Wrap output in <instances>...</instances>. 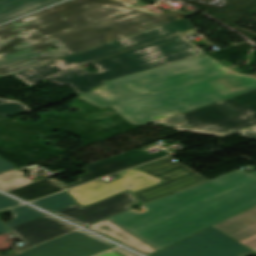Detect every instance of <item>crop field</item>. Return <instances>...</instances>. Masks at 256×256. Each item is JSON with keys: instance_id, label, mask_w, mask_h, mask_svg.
<instances>
[{"instance_id": "5", "label": "crop field", "mask_w": 256, "mask_h": 256, "mask_svg": "<svg viewBox=\"0 0 256 256\" xmlns=\"http://www.w3.org/2000/svg\"><path fill=\"white\" fill-rule=\"evenodd\" d=\"M181 123L173 129L223 136L256 124V90L218 103L183 113ZM192 126L189 127L188 125Z\"/></svg>"}, {"instance_id": "12", "label": "crop field", "mask_w": 256, "mask_h": 256, "mask_svg": "<svg viewBox=\"0 0 256 256\" xmlns=\"http://www.w3.org/2000/svg\"><path fill=\"white\" fill-rule=\"evenodd\" d=\"M169 154L165 150L155 152V153H148L141 150H131L119 155H116L112 158L90 164L87 166H83V169L85 170V175L77 176L76 178L79 180L76 183L73 184H65L63 182H59L55 180L57 183L62 185L65 188L72 187L78 184H82L100 177H103L105 175L111 174L116 171H120L135 165H139L151 160H154L156 158L162 157L164 155Z\"/></svg>"}, {"instance_id": "24", "label": "crop field", "mask_w": 256, "mask_h": 256, "mask_svg": "<svg viewBox=\"0 0 256 256\" xmlns=\"http://www.w3.org/2000/svg\"><path fill=\"white\" fill-rule=\"evenodd\" d=\"M23 175H25V174L22 171L18 170V169L0 174V183L11 180V179L21 177Z\"/></svg>"}, {"instance_id": "21", "label": "crop field", "mask_w": 256, "mask_h": 256, "mask_svg": "<svg viewBox=\"0 0 256 256\" xmlns=\"http://www.w3.org/2000/svg\"><path fill=\"white\" fill-rule=\"evenodd\" d=\"M117 1L122 2V3H125V4H127V5H130V6H132V7H135V8H137V9L142 10V11H145V12H147V13H149V14H152V15H154V16H157V17L162 18V19H164V20H167V21H169V22H172V21H175V20H179L180 18H179L178 16L183 14V12H181V11H177V12H174V13L169 14V15L160 14V13H155V12H150V11L144 10V9L139 8V7H137V6H135V5L132 4L133 2H135V1H137V0H117Z\"/></svg>"}, {"instance_id": "6", "label": "crop field", "mask_w": 256, "mask_h": 256, "mask_svg": "<svg viewBox=\"0 0 256 256\" xmlns=\"http://www.w3.org/2000/svg\"><path fill=\"white\" fill-rule=\"evenodd\" d=\"M193 25L185 18L157 28H153L120 40L91 48L28 70L13 74L30 86L47 77L69 70L84 63L112 55L162 37L191 29Z\"/></svg>"}, {"instance_id": "18", "label": "crop field", "mask_w": 256, "mask_h": 256, "mask_svg": "<svg viewBox=\"0 0 256 256\" xmlns=\"http://www.w3.org/2000/svg\"><path fill=\"white\" fill-rule=\"evenodd\" d=\"M32 204L54 212L56 210L75 204V202L69 194H67L66 192H62L34 201L32 202Z\"/></svg>"}, {"instance_id": "9", "label": "crop field", "mask_w": 256, "mask_h": 256, "mask_svg": "<svg viewBox=\"0 0 256 256\" xmlns=\"http://www.w3.org/2000/svg\"><path fill=\"white\" fill-rule=\"evenodd\" d=\"M117 174L119 178L98 184L93 181L67 190L83 207L103 200L123 191H136L160 182L159 179L144 174L136 169Z\"/></svg>"}, {"instance_id": "19", "label": "crop field", "mask_w": 256, "mask_h": 256, "mask_svg": "<svg viewBox=\"0 0 256 256\" xmlns=\"http://www.w3.org/2000/svg\"><path fill=\"white\" fill-rule=\"evenodd\" d=\"M12 211L14 212V218L11 222L6 223L8 228L45 215L27 205L15 208Z\"/></svg>"}, {"instance_id": "4", "label": "crop field", "mask_w": 256, "mask_h": 256, "mask_svg": "<svg viewBox=\"0 0 256 256\" xmlns=\"http://www.w3.org/2000/svg\"><path fill=\"white\" fill-rule=\"evenodd\" d=\"M203 54V51L185 37L177 34L93 62L98 68L97 73H89L79 67L52 77L50 80L58 85H70L80 95L91 91L95 86L104 85V81Z\"/></svg>"}, {"instance_id": "16", "label": "crop field", "mask_w": 256, "mask_h": 256, "mask_svg": "<svg viewBox=\"0 0 256 256\" xmlns=\"http://www.w3.org/2000/svg\"><path fill=\"white\" fill-rule=\"evenodd\" d=\"M61 0H0V23Z\"/></svg>"}, {"instance_id": "13", "label": "crop field", "mask_w": 256, "mask_h": 256, "mask_svg": "<svg viewBox=\"0 0 256 256\" xmlns=\"http://www.w3.org/2000/svg\"><path fill=\"white\" fill-rule=\"evenodd\" d=\"M74 229L76 228L48 215L10 228L11 232L24 242V245L17 246V250L8 256H12L34 244Z\"/></svg>"}, {"instance_id": "10", "label": "crop field", "mask_w": 256, "mask_h": 256, "mask_svg": "<svg viewBox=\"0 0 256 256\" xmlns=\"http://www.w3.org/2000/svg\"><path fill=\"white\" fill-rule=\"evenodd\" d=\"M114 245L82 230L44 242L16 256H89Z\"/></svg>"}, {"instance_id": "22", "label": "crop field", "mask_w": 256, "mask_h": 256, "mask_svg": "<svg viewBox=\"0 0 256 256\" xmlns=\"http://www.w3.org/2000/svg\"><path fill=\"white\" fill-rule=\"evenodd\" d=\"M40 180H43V179H40ZM40 180L33 181L27 177H24V178H20V179L10 181V182L4 183V184H0V188L5 191H9V190H13V189L40 181Z\"/></svg>"}, {"instance_id": "23", "label": "crop field", "mask_w": 256, "mask_h": 256, "mask_svg": "<svg viewBox=\"0 0 256 256\" xmlns=\"http://www.w3.org/2000/svg\"><path fill=\"white\" fill-rule=\"evenodd\" d=\"M92 92L98 95H101L109 100L118 98L117 96L114 95V93H112L110 90L106 88V85L93 88Z\"/></svg>"}, {"instance_id": "26", "label": "crop field", "mask_w": 256, "mask_h": 256, "mask_svg": "<svg viewBox=\"0 0 256 256\" xmlns=\"http://www.w3.org/2000/svg\"><path fill=\"white\" fill-rule=\"evenodd\" d=\"M20 202H17L15 200H12L2 194H0V210L5 209L14 205L19 204ZM20 205V204H19ZM18 206V205H17ZM15 207V206H14Z\"/></svg>"}, {"instance_id": "3", "label": "crop field", "mask_w": 256, "mask_h": 256, "mask_svg": "<svg viewBox=\"0 0 256 256\" xmlns=\"http://www.w3.org/2000/svg\"><path fill=\"white\" fill-rule=\"evenodd\" d=\"M256 204V177L237 170L108 218L161 249Z\"/></svg>"}, {"instance_id": "33", "label": "crop field", "mask_w": 256, "mask_h": 256, "mask_svg": "<svg viewBox=\"0 0 256 256\" xmlns=\"http://www.w3.org/2000/svg\"><path fill=\"white\" fill-rule=\"evenodd\" d=\"M96 256H121L120 254H118L117 252L111 250V251H107L103 254L100 255H96Z\"/></svg>"}, {"instance_id": "29", "label": "crop field", "mask_w": 256, "mask_h": 256, "mask_svg": "<svg viewBox=\"0 0 256 256\" xmlns=\"http://www.w3.org/2000/svg\"><path fill=\"white\" fill-rule=\"evenodd\" d=\"M126 85H127L130 89L135 90V91H139V92H147V91H148L147 89L142 88V87L136 85V84L133 83V82L126 83Z\"/></svg>"}, {"instance_id": "27", "label": "crop field", "mask_w": 256, "mask_h": 256, "mask_svg": "<svg viewBox=\"0 0 256 256\" xmlns=\"http://www.w3.org/2000/svg\"><path fill=\"white\" fill-rule=\"evenodd\" d=\"M182 115V114H181ZM181 115H178V116H175V117H172V118H169V119H166V120H163V121H160L161 123L165 124V125H168L170 127H173L181 122H183L181 120Z\"/></svg>"}, {"instance_id": "25", "label": "crop field", "mask_w": 256, "mask_h": 256, "mask_svg": "<svg viewBox=\"0 0 256 256\" xmlns=\"http://www.w3.org/2000/svg\"><path fill=\"white\" fill-rule=\"evenodd\" d=\"M212 86L217 89L222 95L230 93V92H234L236 90H234L233 88H231L227 83H225L224 81H220L217 83H213Z\"/></svg>"}, {"instance_id": "31", "label": "crop field", "mask_w": 256, "mask_h": 256, "mask_svg": "<svg viewBox=\"0 0 256 256\" xmlns=\"http://www.w3.org/2000/svg\"><path fill=\"white\" fill-rule=\"evenodd\" d=\"M238 133L241 134V135H244L246 137H249V138H252V139L256 140V132L251 131L249 129H247L245 131H242V132H238Z\"/></svg>"}, {"instance_id": "17", "label": "crop field", "mask_w": 256, "mask_h": 256, "mask_svg": "<svg viewBox=\"0 0 256 256\" xmlns=\"http://www.w3.org/2000/svg\"><path fill=\"white\" fill-rule=\"evenodd\" d=\"M62 190L63 189L58 185L47 179L13 191H9L7 193L14 194L23 200L30 201L38 197Z\"/></svg>"}, {"instance_id": "8", "label": "crop field", "mask_w": 256, "mask_h": 256, "mask_svg": "<svg viewBox=\"0 0 256 256\" xmlns=\"http://www.w3.org/2000/svg\"><path fill=\"white\" fill-rule=\"evenodd\" d=\"M252 252L211 227L151 256H243Z\"/></svg>"}, {"instance_id": "14", "label": "crop field", "mask_w": 256, "mask_h": 256, "mask_svg": "<svg viewBox=\"0 0 256 256\" xmlns=\"http://www.w3.org/2000/svg\"><path fill=\"white\" fill-rule=\"evenodd\" d=\"M214 227L256 251V206Z\"/></svg>"}, {"instance_id": "20", "label": "crop field", "mask_w": 256, "mask_h": 256, "mask_svg": "<svg viewBox=\"0 0 256 256\" xmlns=\"http://www.w3.org/2000/svg\"><path fill=\"white\" fill-rule=\"evenodd\" d=\"M30 110L26 105L18 102V101H10L8 99L0 98V116H13L25 112H29Z\"/></svg>"}, {"instance_id": "37", "label": "crop field", "mask_w": 256, "mask_h": 256, "mask_svg": "<svg viewBox=\"0 0 256 256\" xmlns=\"http://www.w3.org/2000/svg\"><path fill=\"white\" fill-rule=\"evenodd\" d=\"M252 254H256V253H252ZM252 254H249V255H246V256H250V255H252Z\"/></svg>"}, {"instance_id": "1", "label": "crop field", "mask_w": 256, "mask_h": 256, "mask_svg": "<svg viewBox=\"0 0 256 256\" xmlns=\"http://www.w3.org/2000/svg\"><path fill=\"white\" fill-rule=\"evenodd\" d=\"M166 23L114 0H71L0 27V77Z\"/></svg>"}, {"instance_id": "11", "label": "crop field", "mask_w": 256, "mask_h": 256, "mask_svg": "<svg viewBox=\"0 0 256 256\" xmlns=\"http://www.w3.org/2000/svg\"><path fill=\"white\" fill-rule=\"evenodd\" d=\"M137 202L139 201L134 197V195L127 191L85 208L79 204H75L54 213L81 226H84L122 213L131 208L129 205Z\"/></svg>"}, {"instance_id": "32", "label": "crop field", "mask_w": 256, "mask_h": 256, "mask_svg": "<svg viewBox=\"0 0 256 256\" xmlns=\"http://www.w3.org/2000/svg\"><path fill=\"white\" fill-rule=\"evenodd\" d=\"M115 250L118 251L119 253L123 254L124 256H137V255H135V254H133V253H131L129 251H126V250H124V249H122L120 247L115 249Z\"/></svg>"}, {"instance_id": "36", "label": "crop field", "mask_w": 256, "mask_h": 256, "mask_svg": "<svg viewBox=\"0 0 256 256\" xmlns=\"http://www.w3.org/2000/svg\"><path fill=\"white\" fill-rule=\"evenodd\" d=\"M250 129H252V130H255V131H256V127H253V128H250Z\"/></svg>"}, {"instance_id": "35", "label": "crop field", "mask_w": 256, "mask_h": 256, "mask_svg": "<svg viewBox=\"0 0 256 256\" xmlns=\"http://www.w3.org/2000/svg\"><path fill=\"white\" fill-rule=\"evenodd\" d=\"M239 171H241V170H239ZM241 172H243V173H245V174H247V175H249V176H251V177L256 176V171L253 172V173H251V174H249V173H247V172H245V171H241Z\"/></svg>"}, {"instance_id": "15", "label": "crop field", "mask_w": 256, "mask_h": 256, "mask_svg": "<svg viewBox=\"0 0 256 256\" xmlns=\"http://www.w3.org/2000/svg\"><path fill=\"white\" fill-rule=\"evenodd\" d=\"M89 228L109 237H112L116 240H119L123 242V245L142 252L146 255L158 251V249L146 244L136 236L123 230L122 228L118 227L107 219L99 221L96 224L90 226Z\"/></svg>"}, {"instance_id": "28", "label": "crop field", "mask_w": 256, "mask_h": 256, "mask_svg": "<svg viewBox=\"0 0 256 256\" xmlns=\"http://www.w3.org/2000/svg\"><path fill=\"white\" fill-rule=\"evenodd\" d=\"M16 166L6 162L5 160L0 158V173L6 172V171H10L15 169Z\"/></svg>"}, {"instance_id": "2", "label": "crop field", "mask_w": 256, "mask_h": 256, "mask_svg": "<svg viewBox=\"0 0 256 256\" xmlns=\"http://www.w3.org/2000/svg\"><path fill=\"white\" fill-rule=\"evenodd\" d=\"M224 80L237 92L222 96L210 83ZM133 81L150 92L131 91ZM120 99L109 101L88 92L79 98L101 108L111 106L134 125L154 122L152 115L201 105L256 89V77L228 70L216 59L203 55L105 82Z\"/></svg>"}, {"instance_id": "38", "label": "crop field", "mask_w": 256, "mask_h": 256, "mask_svg": "<svg viewBox=\"0 0 256 256\" xmlns=\"http://www.w3.org/2000/svg\"><path fill=\"white\" fill-rule=\"evenodd\" d=\"M252 76H256V73L254 75H252Z\"/></svg>"}, {"instance_id": "7", "label": "crop field", "mask_w": 256, "mask_h": 256, "mask_svg": "<svg viewBox=\"0 0 256 256\" xmlns=\"http://www.w3.org/2000/svg\"><path fill=\"white\" fill-rule=\"evenodd\" d=\"M167 156L137 167V169L165 182L133 192L143 204L207 181L204 177L182 165L171 162ZM151 171L155 173H150Z\"/></svg>"}, {"instance_id": "30", "label": "crop field", "mask_w": 256, "mask_h": 256, "mask_svg": "<svg viewBox=\"0 0 256 256\" xmlns=\"http://www.w3.org/2000/svg\"><path fill=\"white\" fill-rule=\"evenodd\" d=\"M178 113H181V112L174 111V112H170V113H165V114H160V115L152 116V118H153L155 121H157V120H160V119H163V118H166V117H169V116L178 114Z\"/></svg>"}, {"instance_id": "34", "label": "crop field", "mask_w": 256, "mask_h": 256, "mask_svg": "<svg viewBox=\"0 0 256 256\" xmlns=\"http://www.w3.org/2000/svg\"><path fill=\"white\" fill-rule=\"evenodd\" d=\"M7 232H8V230L4 227V225L0 221V234L1 233H7Z\"/></svg>"}]
</instances>
